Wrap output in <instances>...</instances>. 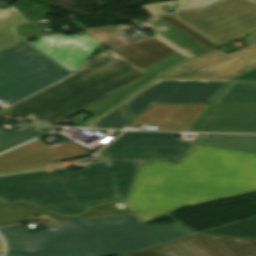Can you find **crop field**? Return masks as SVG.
<instances>
[{"instance_id":"obj_1","label":"crop field","mask_w":256,"mask_h":256,"mask_svg":"<svg viewBox=\"0 0 256 256\" xmlns=\"http://www.w3.org/2000/svg\"><path fill=\"white\" fill-rule=\"evenodd\" d=\"M175 133L125 132L96 154L105 162L69 173L67 168L0 177V202L29 201L58 215H78L93 205L126 197L142 161L177 162L193 142Z\"/></svg>"},{"instance_id":"obj_2","label":"crop field","mask_w":256,"mask_h":256,"mask_svg":"<svg viewBox=\"0 0 256 256\" xmlns=\"http://www.w3.org/2000/svg\"><path fill=\"white\" fill-rule=\"evenodd\" d=\"M256 190V154L194 145L179 164L141 165L125 203L144 221Z\"/></svg>"},{"instance_id":"obj_3","label":"crop field","mask_w":256,"mask_h":256,"mask_svg":"<svg viewBox=\"0 0 256 256\" xmlns=\"http://www.w3.org/2000/svg\"><path fill=\"white\" fill-rule=\"evenodd\" d=\"M7 256H110L144 249L190 234L178 222L144 225L132 215L60 222V230L27 233L1 227Z\"/></svg>"},{"instance_id":"obj_4","label":"crop field","mask_w":256,"mask_h":256,"mask_svg":"<svg viewBox=\"0 0 256 256\" xmlns=\"http://www.w3.org/2000/svg\"><path fill=\"white\" fill-rule=\"evenodd\" d=\"M145 74L109 50L87 61L73 76L0 112V117L18 121L12 116L27 113L35 123L55 125Z\"/></svg>"},{"instance_id":"obj_5","label":"crop field","mask_w":256,"mask_h":256,"mask_svg":"<svg viewBox=\"0 0 256 256\" xmlns=\"http://www.w3.org/2000/svg\"><path fill=\"white\" fill-rule=\"evenodd\" d=\"M21 42L0 52V101L10 105L70 74Z\"/></svg>"},{"instance_id":"obj_6","label":"crop field","mask_w":256,"mask_h":256,"mask_svg":"<svg viewBox=\"0 0 256 256\" xmlns=\"http://www.w3.org/2000/svg\"><path fill=\"white\" fill-rule=\"evenodd\" d=\"M171 15L222 46L256 28V0H224L203 10Z\"/></svg>"},{"instance_id":"obj_7","label":"crop field","mask_w":256,"mask_h":256,"mask_svg":"<svg viewBox=\"0 0 256 256\" xmlns=\"http://www.w3.org/2000/svg\"><path fill=\"white\" fill-rule=\"evenodd\" d=\"M228 83L161 80L153 83L123 105L132 121L155 104L210 103Z\"/></svg>"},{"instance_id":"obj_8","label":"crop field","mask_w":256,"mask_h":256,"mask_svg":"<svg viewBox=\"0 0 256 256\" xmlns=\"http://www.w3.org/2000/svg\"><path fill=\"white\" fill-rule=\"evenodd\" d=\"M256 66V44L225 54L215 49L173 69L161 78L224 80Z\"/></svg>"},{"instance_id":"obj_9","label":"crop field","mask_w":256,"mask_h":256,"mask_svg":"<svg viewBox=\"0 0 256 256\" xmlns=\"http://www.w3.org/2000/svg\"><path fill=\"white\" fill-rule=\"evenodd\" d=\"M164 256H256V241L194 235L154 247Z\"/></svg>"},{"instance_id":"obj_10","label":"crop field","mask_w":256,"mask_h":256,"mask_svg":"<svg viewBox=\"0 0 256 256\" xmlns=\"http://www.w3.org/2000/svg\"><path fill=\"white\" fill-rule=\"evenodd\" d=\"M189 131L256 133V104H211Z\"/></svg>"},{"instance_id":"obj_11","label":"crop field","mask_w":256,"mask_h":256,"mask_svg":"<svg viewBox=\"0 0 256 256\" xmlns=\"http://www.w3.org/2000/svg\"><path fill=\"white\" fill-rule=\"evenodd\" d=\"M69 71H75L99 44L86 34L67 37L63 34L39 38L30 43ZM95 50V49H94ZM85 61V60H84Z\"/></svg>"},{"instance_id":"obj_12","label":"crop field","mask_w":256,"mask_h":256,"mask_svg":"<svg viewBox=\"0 0 256 256\" xmlns=\"http://www.w3.org/2000/svg\"><path fill=\"white\" fill-rule=\"evenodd\" d=\"M103 45L116 52L140 70L175 52L153 37H147L141 41L134 42L118 34L106 41Z\"/></svg>"},{"instance_id":"obj_13","label":"crop field","mask_w":256,"mask_h":256,"mask_svg":"<svg viewBox=\"0 0 256 256\" xmlns=\"http://www.w3.org/2000/svg\"><path fill=\"white\" fill-rule=\"evenodd\" d=\"M208 104L155 105L136 118L134 125H157L158 129L186 130Z\"/></svg>"},{"instance_id":"obj_14","label":"crop field","mask_w":256,"mask_h":256,"mask_svg":"<svg viewBox=\"0 0 256 256\" xmlns=\"http://www.w3.org/2000/svg\"><path fill=\"white\" fill-rule=\"evenodd\" d=\"M185 57L180 55L179 53H174L159 62L141 70L144 73H146L148 76L131 84L130 86L120 90L119 92L107 97L106 99L96 103L95 105L85 109L84 111H87L89 113L94 114L92 117L84 121L82 124H80V127H85L98 117L102 116L112 108L119 105L120 102H122L124 99L132 95L134 92L157 78L159 75H161L166 70L186 61ZM96 121V120H95ZM93 123V122H92ZM90 125V124H89Z\"/></svg>"},{"instance_id":"obj_15","label":"crop field","mask_w":256,"mask_h":256,"mask_svg":"<svg viewBox=\"0 0 256 256\" xmlns=\"http://www.w3.org/2000/svg\"><path fill=\"white\" fill-rule=\"evenodd\" d=\"M41 144L35 140L0 155V172L68 160L57 150H60L73 143L68 141L59 147L50 148H47Z\"/></svg>"},{"instance_id":"obj_16","label":"crop field","mask_w":256,"mask_h":256,"mask_svg":"<svg viewBox=\"0 0 256 256\" xmlns=\"http://www.w3.org/2000/svg\"><path fill=\"white\" fill-rule=\"evenodd\" d=\"M37 214H44L54 220H66L85 217L130 214V212L127 209H119L116 207L115 203H111L95 206L81 216L60 217L29 202L9 205H2L0 203V226L31 220L30 216Z\"/></svg>"},{"instance_id":"obj_17","label":"crop field","mask_w":256,"mask_h":256,"mask_svg":"<svg viewBox=\"0 0 256 256\" xmlns=\"http://www.w3.org/2000/svg\"><path fill=\"white\" fill-rule=\"evenodd\" d=\"M162 19V18H161ZM160 18H152L148 23L154 32V37L190 59L198 54L210 51L200 43L188 37L181 31L169 25Z\"/></svg>"},{"instance_id":"obj_18","label":"crop field","mask_w":256,"mask_h":256,"mask_svg":"<svg viewBox=\"0 0 256 256\" xmlns=\"http://www.w3.org/2000/svg\"><path fill=\"white\" fill-rule=\"evenodd\" d=\"M234 79L256 80V69ZM213 103H256V82H231Z\"/></svg>"},{"instance_id":"obj_19","label":"crop field","mask_w":256,"mask_h":256,"mask_svg":"<svg viewBox=\"0 0 256 256\" xmlns=\"http://www.w3.org/2000/svg\"><path fill=\"white\" fill-rule=\"evenodd\" d=\"M198 144L256 152V136L203 134Z\"/></svg>"},{"instance_id":"obj_20","label":"crop field","mask_w":256,"mask_h":256,"mask_svg":"<svg viewBox=\"0 0 256 256\" xmlns=\"http://www.w3.org/2000/svg\"><path fill=\"white\" fill-rule=\"evenodd\" d=\"M34 127L40 128L38 131L33 129ZM58 127L50 126H35V125H21L19 129L6 132L0 130V152L21 143H24L30 139L40 136L46 132L57 129Z\"/></svg>"},{"instance_id":"obj_21","label":"crop field","mask_w":256,"mask_h":256,"mask_svg":"<svg viewBox=\"0 0 256 256\" xmlns=\"http://www.w3.org/2000/svg\"><path fill=\"white\" fill-rule=\"evenodd\" d=\"M25 21L12 6L0 10V51L17 43L15 25Z\"/></svg>"},{"instance_id":"obj_22","label":"crop field","mask_w":256,"mask_h":256,"mask_svg":"<svg viewBox=\"0 0 256 256\" xmlns=\"http://www.w3.org/2000/svg\"><path fill=\"white\" fill-rule=\"evenodd\" d=\"M204 233L256 238V217L239 221Z\"/></svg>"},{"instance_id":"obj_23","label":"crop field","mask_w":256,"mask_h":256,"mask_svg":"<svg viewBox=\"0 0 256 256\" xmlns=\"http://www.w3.org/2000/svg\"><path fill=\"white\" fill-rule=\"evenodd\" d=\"M129 123L130 122L124 110L121 106H119L89 127L105 129H122Z\"/></svg>"},{"instance_id":"obj_24","label":"crop field","mask_w":256,"mask_h":256,"mask_svg":"<svg viewBox=\"0 0 256 256\" xmlns=\"http://www.w3.org/2000/svg\"><path fill=\"white\" fill-rule=\"evenodd\" d=\"M160 18H162L163 20H165L166 22L170 23L171 25H173L174 27H176L177 29L181 30L182 32H184L185 34L189 35L190 37H192L193 39H195L196 41L200 42L201 44H203L204 46L208 47L209 49H214L216 47H218L217 45H215L214 43H212L211 41L207 40L206 38L202 37L201 35H199L198 33L194 32L193 30L189 29L188 27L184 26L183 24H181L180 22L176 21L175 19H173L172 17L168 16V15H164V16H160Z\"/></svg>"},{"instance_id":"obj_25","label":"crop field","mask_w":256,"mask_h":256,"mask_svg":"<svg viewBox=\"0 0 256 256\" xmlns=\"http://www.w3.org/2000/svg\"><path fill=\"white\" fill-rule=\"evenodd\" d=\"M127 27L128 26H120V27L115 28L112 25H108V26L86 29L84 31L88 32L90 35H92L94 38H96L98 41L101 42L102 40L109 37L110 35L118 32L120 30H123Z\"/></svg>"},{"instance_id":"obj_26","label":"crop field","mask_w":256,"mask_h":256,"mask_svg":"<svg viewBox=\"0 0 256 256\" xmlns=\"http://www.w3.org/2000/svg\"><path fill=\"white\" fill-rule=\"evenodd\" d=\"M219 0H178L177 11L208 6Z\"/></svg>"},{"instance_id":"obj_27","label":"crop field","mask_w":256,"mask_h":256,"mask_svg":"<svg viewBox=\"0 0 256 256\" xmlns=\"http://www.w3.org/2000/svg\"><path fill=\"white\" fill-rule=\"evenodd\" d=\"M174 1H168V2H162V3H156V4H149V5H142L144 10H146L148 13H150L152 16L165 13L164 10H162L160 7L167 6L168 4L175 3Z\"/></svg>"},{"instance_id":"obj_28","label":"crop field","mask_w":256,"mask_h":256,"mask_svg":"<svg viewBox=\"0 0 256 256\" xmlns=\"http://www.w3.org/2000/svg\"><path fill=\"white\" fill-rule=\"evenodd\" d=\"M84 149L80 148L79 146L73 144L67 148H64L62 150H60L59 152H61L63 155H65L66 157L73 159L76 158Z\"/></svg>"},{"instance_id":"obj_29","label":"crop field","mask_w":256,"mask_h":256,"mask_svg":"<svg viewBox=\"0 0 256 256\" xmlns=\"http://www.w3.org/2000/svg\"><path fill=\"white\" fill-rule=\"evenodd\" d=\"M64 166L62 162L59 163H53V164H47V165H41V166H36V167H30V168H24V169H19V170H13V171H7V172H2L1 174H7V173H14V172H22V171H30V170H38V169H46V168H54V167H62Z\"/></svg>"},{"instance_id":"obj_30","label":"crop field","mask_w":256,"mask_h":256,"mask_svg":"<svg viewBox=\"0 0 256 256\" xmlns=\"http://www.w3.org/2000/svg\"><path fill=\"white\" fill-rule=\"evenodd\" d=\"M121 256H162V255L158 253L156 250H154L153 248H151L148 250H144V251H140V252H136L128 255H121Z\"/></svg>"},{"instance_id":"obj_31","label":"crop field","mask_w":256,"mask_h":256,"mask_svg":"<svg viewBox=\"0 0 256 256\" xmlns=\"http://www.w3.org/2000/svg\"><path fill=\"white\" fill-rule=\"evenodd\" d=\"M0 252H3V244L1 242V240H0Z\"/></svg>"},{"instance_id":"obj_32","label":"crop field","mask_w":256,"mask_h":256,"mask_svg":"<svg viewBox=\"0 0 256 256\" xmlns=\"http://www.w3.org/2000/svg\"><path fill=\"white\" fill-rule=\"evenodd\" d=\"M2 254H0V256H1Z\"/></svg>"}]
</instances>
